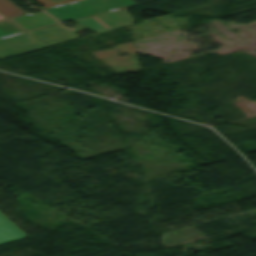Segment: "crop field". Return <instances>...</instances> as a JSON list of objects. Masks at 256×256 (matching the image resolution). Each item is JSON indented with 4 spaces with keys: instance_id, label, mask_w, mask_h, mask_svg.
<instances>
[{
    "instance_id": "obj_7",
    "label": "crop field",
    "mask_w": 256,
    "mask_h": 256,
    "mask_svg": "<svg viewBox=\"0 0 256 256\" xmlns=\"http://www.w3.org/2000/svg\"><path fill=\"white\" fill-rule=\"evenodd\" d=\"M37 48L25 45L20 42H13L7 39H0V59L16 55L19 53L27 52Z\"/></svg>"
},
{
    "instance_id": "obj_13",
    "label": "crop field",
    "mask_w": 256,
    "mask_h": 256,
    "mask_svg": "<svg viewBox=\"0 0 256 256\" xmlns=\"http://www.w3.org/2000/svg\"><path fill=\"white\" fill-rule=\"evenodd\" d=\"M1 18H5V17H4L3 15H1V14H0V19H1Z\"/></svg>"
},
{
    "instance_id": "obj_10",
    "label": "crop field",
    "mask_w": 256,
    "mask_h": 256,
    "mask_svg": "<svg viewBox=\"0 0 256 256\" xmlns=\"http://www.w3.org/2000/svg\"><path fill=\"white\" fill-rule=\"evenodd\" d=\"M0 12L7 17L24 13L7 0H0Z\"/></svg>"
},
{
    "instance_id": "obj_8",
    "label": "crop field",
    "mask_w": 256,
    "mask_h": 256,
    "mask_svg": "<svg viewBox=\"0 0 256 256\" xmlns=\"http://www.w3.org/2000/svg\"><path fill=\"white\" fill-rule=\"evenodd\" d=\"M22 29H20L18 26H16L14 23H12L7 18L0 20V38H4L7 36L23 33Z\"/></svg>"
},
{
    "instance_id": "obj_12",
    "label": "crop field",
    "mask_w": 256,
    "mask_h": 256,
    "mask_svg": "<svg viewBox=\"0 0 256 256\" xmlns=\"http://www.w3.org/2000/svg\"><path fill=\"white\" fill-rule=\"evenodd\" d=\"M116 48L117 50L125 52L129 55L135 54L129 42L121 45H117Z\"/></svg>"
},
{
    "instance_id": "obj_6",
    "label": "crop field",
    "mask_w": 256,
    "mask_h": 256,
    "mask_svg": "<svg viewBox=\"0 0 256 256\" xmlns=\"http://www.w3.org/2000/svg\"><path fill=\"white\" fill-rule=\"evenodd\" d=\"M22 237L26 236L0 212V243Z\"/></svg>"
},
{
    "instance_id": "obj_1",
    "label": "crop field",
    "mask_w": 256,
    "mask_h": 256,
    "mask_svg": "<svg viewBox=\"0 0 256 256\" xmlns=\"http://www.w3.org/2000/svg\"><path fill=\"white\" fill-rule=\"evenodd\" d=\"M132 0H79L45 9L60 21L76 20L89 15L134 4Z\"/></svg>"
},
{
    "instance_id": "obj_11",
    "label": "crop field",
    "mask_w": 256,
    "mask_h": 256,
    "mask_svg": "<svg viewBox=\"0 0 256 256\" xmlns=\"http://www.w3.org/2000/svg\"><path fill=\"white\" fill-rule=\"evenodd\" d=\"M46 8L74 0H37Z\"/></svg>"
},
{
    "instance_id": "obj_2",
    "label": "crop field",
    "mask_w": 256,
    "mask_h": 256,
    "mask_svg": "<svg viewBox=\"0 0 256 256\" xmlns=\"http://www.w3.org/2000/svg\"><path fill=\"white\" fill-rule=\"evenodd\" d=\"M28 33L33 34L34 36L48 43L49 45L69 41L71 39L78 37L77 34H74L72 32V30L67 29L63 27L61 24H59V25L48 27V28L8 37L7 39L13 40V41H20L37 48L48 46L42 43L41 41H39L38 39L34 38L33 36L29 35Z\"/></svg>"
},
{
    "instance_id": "obj_4",
    "label": "crop field",
    "mask_w": 256,
    "mask_h": 256,
    "mask_svg": "<svg viewBox=\"0 0 256 256\" xmlns=\"http://www.w3.org/2000/svg\"><path fill=\"white\" fill-rule=\"evenodd\" d=\"M9 19H11L13 22H15L26 31L58 24L53 18H51L48 14L44 12L35 14H22L10 17Z\"/></svg>"
},
{
    "instance_id": "obj_5",
    "label": "crop field",
    "mask_w": 256,
    "mask_h": 256,
    "mask_svg": "<svg viewBox=\"0 0 256 256\" xmlns=\"http://www.w3.org/2000/svg\"><path fill=\"white\" fill-rule=\"evenodd\" d=\"M121 11V9H118L76 20L75 22L78 23V26L73 31L119 22L121 20Z\"/></svg>"
},
{
    "instance_id": "obj_9",
    "label": "crop field",
    "mask_w": 256,
    "mask_h": 256,
    "mask_svg": "<svg viewBox=\"0 0 256 256\" xmlns=\"http://www.w3.org/2000/svg\"><path fill=\"white\" fill-rule=\"evenodd\" d=\"M130 21H131V18L129 16L128 12L125 9H123L121 22L111 24V25H107V26L94 28V29L89 28V29H84V30H89L93 33H98V32L107 31V30H110V29H113V28H117V27H120V26L128 25V24H130ZM80 31H82V30H80ZM80 31H78V32H80ZM78 32H75V33H78Z\"/></svg>"
},
{
    "instance_id": "obj_3",
    "label": "crop field",
    "mask_w": 256,
    "mask_h": 256,
    "mask_svg": "<svg viewBox=\"0 0 256 256\" xmlns=\"http://www.w3.org/2000/svg\"><path fill=\"white\" fill-rule=\"evenodd\" d=\"M93 53L117 73L140 69L136 55L117 57L114 49Z\"/></svg>"
}]
</instances>
